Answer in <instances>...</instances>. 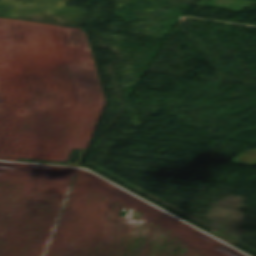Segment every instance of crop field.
<instances>
[{
    "mask_svg": "<svg viewBox=\"0 0 256 256\" xmlns=\"http://www.w3.org/2000/svg\"><path fill=\"white\" fill-rule=\"evenodd\" d=\"M232 163L253 166L256 164V149L239 154Z\"/></svg>",
    "mask_w": 256,
    "mask_h": 256,
    "instance_id": "8a807250",
    "label": "crop field"
}]
</instances>
